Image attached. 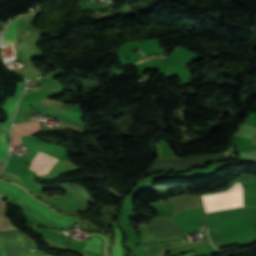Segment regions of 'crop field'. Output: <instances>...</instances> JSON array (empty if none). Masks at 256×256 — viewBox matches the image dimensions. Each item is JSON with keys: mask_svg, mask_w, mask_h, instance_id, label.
<instances>
[{"mask_svg": "<svg viewBox=\"0 0 256 256\" xmlns=\"http://www.w3.org/2000/svg\"><path fill=\"white\" fill-rule=\"evenodd\" d=\"M4 198L5 196L0 195V231L14 229L4 217L5 202L2 200Z\"/></svg>", "mask_w": 256, "mask_h": 256, "instance_id": "7", "label": "crop field"}, {"mask_svg": "<svg viewBox=\"0 0 256 256\" xmlns=\"http://www.w3.org/2000/svg\"><path fill=\"white\" fill-rule=\"evenodd\" d=\"M172 203L173 214L185 211L187 209L200 207L198 196L179 197L174 196L168 199Z\"/></svg>", "mask_w": 256, "mask_h": 256, "instance_id": "3", "label": "crop field"}, {"mask_svg": "<svg viewBox=\"0 0 256 256\" xmlns=\"http://www.w3.org/2000/svg\"><path fill=\"white\" fill-rule=\"evenodd\" d=\"M39 130H40L39 122L13 126L12 136H11V147H16L17 143L21 142V135L36 134Z\"/></svg>", "mask_w": 256, "mask_h": 256, "instance_id": "2", "label": "crop field"}, {"mask_svg": "<svg viewBox=\"0 0 256 256\" xmlns=\"http://www.w3.org/2000/svg\"><path fill=\"white\" fill-rule=\"evenodd\" d=\"M0 193L8 196L13 205L22 208L24 212L51 227L65 229L80 219L57 214L17 185L0 181Z\"/></svg>", "mask_w": 256, "mask_h": 256, "instance_id": "1", "label": "crop field"}, {"mask_svg": "<svg viewBox=\"0 0 256 256\" xmlns=\"http://www.w3.org/2000/svg\"><path fill=\"white\" fill-rule=\"evenodd\" d=\"M19 19H15L12 24L8 27L7 31L5 32L3 38H2V45H14L17 43V33H18V27L17 22Z\"/></svg>", "mask_w": 256, "mask_h": 256, "instance_id": "5", "label": "crop field"}, {"mask_svg": "<svg viewBox=\"0 0 256 256\" xmlns=\"http://www.w3.org/2000/svg\"><path fill=\"white\" fill-rule=\"evenodd\" d=\"M6 150H7V132H1V135H0V161H4L6 159Z\"/></svg>", "mask_w": 256, "mask_h": 256, "instance_id": "8", "label": "crop field"}, {"mask_svg": "<svg viewBox=\"0 0 256 256\" xmlns=\"http://www.w3.org/2000/svg\"><path fill=\"white\" fill-rule=\"evenodd\" d=\"M16 104L17 102L12 97H9L4 107L9 111L10 115L14 110ZM11 119L12 117L10 116V118L6 122L0 124V131H9Z\"/></svg>", "mask_w": 256, "mask_h": 256, "instance_id": "6", "label": "crop field"}, {"mask_svg": "<svg viewBox=\"0 0 256 256\" xmlns=\"http://www.w3.org/2000/svg\"><path fill=\"white\" fill-rule=\"evenodd\" d=\"M99 243H100V239L92 236L91 240L87 241L84 249L99 252Z\"/></svg>", "mask_w": 256, "mask_h": 256, "instance_id": "9", "label": "crop field"}, {"mask_svg": "<svg viewBox=\"0 0 256 256\" xmlns=\"http://www.w3.org/2000/svg\"><path fill=\"white\" fill-rule=\"evenodd\" d=\"M0 256H6L2 247L1 240H0Z\"/></svg>", "mask_w": 256, "mask_h": 256, "instance_id": "12", "label": "crop field"}, {"mask_svg": "<svg viewBox=\"0 0 256 256\" xmlns=\"http://www.w3.org/2000/svg\"><path fill=\"white\" fill-rule=\"evenodd\" d=\"M115 231L117 233V243H116V246H115V249H114V252H113V256H121L122 249H121V246H120V242L122 240V235H121V232L118 229V227L115 228Z\"/></svg>", "mask_w": 256, "mask_h": 256, "instance_id": "10", "label": "crop field"}, {"mask_svg": "<svg viewBox=\"0 0 256 256\" xmlns=\"http://www.w3.org/2000/svg\"><path fill=\"white\" fill-rule=\"evenodd\" d=\"M24 82H20V83H17L18 85V91L15 95V99L18 101L19 97H20V94H21V89H22V85H23Z\"/></svg>", "mask_w": 256, "mask_h": 256, "instance_id": "11", "label": "crop field"}, {"mask_svg": "<svg viewBox=\"0 0 256 256\" xmlns=\"http://www.w3.org/2000/svg\"><path fill=\"white\" fill-rule=\"evenodd\" d=\"M183 256H195V254H194V252H192V253H189V254H186V255H183Z\"/></svg>", "mask_w": 256, "mask_h": 256, "instance_id": "13", "label": "crop field"}, {"mask_svg": "<svg viewBox=\"0 0 256 256\" xmlns=\"http://www.w3.org/2000/svg\"><path fill=\"white\" fill-rule=\"evenodd\" d=\"M184 243V242H182ZM183 245L181 243H171V242H164V243H156L149 246H145L144 251L146 256H162L164 255V251L168 248Z\"/></svg>", "mask_w": 256, "mask_h": 256, "instance_id": "4", "label": "crop field"}]
</instances>
